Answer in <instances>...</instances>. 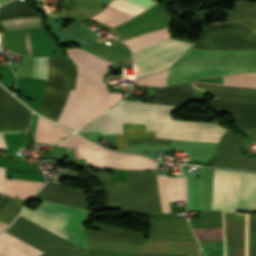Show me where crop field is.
<instances>
[{
  "label": "crop field",
  "mask_w": 256,
  "mask_h": 256,
  "mask_svg": "<svg viewBox=\"0 0 256 256\" xmlns=\"http://www.w3.org/2000/svg\"><path fill=\"white\" fill-rule=\"evenodd\" d=\"M198 241L223 240V227L193 229Z\"/></svg>",
  "instance_id": "crop-field-29"
},
{
  "label": "crop field",
  "mask_w": 256,
  "mask_h": 256,
  "mask_svg": "<svg viewBox=\"0 0 256 256\" xmlns=\"http://www.w3.org/2000/svg\"><path fill=\"white\" fill-rule=\"evenodd\" d=\"M194 83L256 88V73L225 76L223 84L201 83V82H194ZM193 85H195L199 89L209 91L210 93L214 94L216 97L256 102V89L197 85V84H193Z\"/></svg>",
  "instance_id": "crop-field-12"
},
{
  "label": "crop field",
  "mask_w": 256,
  "mask_h": 256,
  "mask_svg": "<svg viewBox=\"0 0 256 256\" xmlns=\"http://www.w3.org/2000/svg\"><path fill=\"white\" fill-rule=\"evenodd\" d=\"M240 129L245 131L249 136L256 138V130L255 129H244V128H240Z\"/></svg>",
  "instance_id": "crop-field-37"
},
{
  "label": "crop field",
  "mask_w": 256,
  "mask_h": 256,
  "mask_svg": "<svg viewBox=\"0 0 256 256\" xmlns=\"http://www.w3.org/2000/svg\"><path fill=\"white\" fill-rule=\"evenodd\" d=\"M46 253L56 256H83L60 248H50Z\"/></svg>",
  "instance_id": "crop-field-34"
},
{
  "label": "crop field",
  "mask_w": 256,
  "mask_h": 256,
  "mask_svg": "<svg viewBox=\"0 0 256 256\" xmlns=\"http://www.w3.org/2000/svg\"><path fill=\"white\" fill-rule=\"evenodd\" d=\"M173 106L122 101L117 107L91 119L79 132L123 134L122 122L146 124V131L157 130V138L218 142L226 131L214 123L172 121Z\"/></svg>",
  "instance_id": "crop-field-1"
},
{
  "label": "crop field",
  "mask_w": 256,
  "mask_h": 256,
  "mask_svg": "<svg viewBox=\"0 0 256 256\" xmlns=\"http://www.w3.org/2000/svg\"><path fill=\"white\" fill-rule=\"evenodd\" d=\"M152 236L194 237L188 224L177 218L151 219Z\"/></svg>",
  "instance_id": "crop-field-19"
},
{
  "label": "crop field",
  "mask_w": 256,
  "mask_h": 256,
  "mask_svg": "<svg viewBox=\"0 0 256 256\" xmlns=\"http://www.w3.org/2000/svg\"><path fill=\"white\" fill-rule=\"evenodd\" d=\"M128 2L140 5L142 7L148 8L154 4L155 2L151 0H126ZM135 14L129 13L127 11L115 8L113 6L108 5V7L100 12L95 17L91 18L96 21L102 22L104 24L110 25L112 27L128 20L129 18L133 17Z\"/></svg>",
  "instance_id": "crop-field-20"
},
{
  "label": "crop field",
  "mask_w": 256,
  "mask_h": 256,
  "mask_svg": "<svg viewBox=\"0 0 256 256\" xmlns=\"http://www.w3.org/2000/svg\"><path fill=\"white\" fill-rule=\"evenodd\" d=\"M0 23L6 30L28 28V27H42L39 17L22 18L15 20H2Z\"/></svg>",
  "instance_id": "crop-field-27"
},
{
  "label": "crop field",
  "mask_w": 256,
  "mask_h": 256,
  "mask_svg": "<svg viewBox=\"0 0 256 256\" xmlns=\"http://www.w3.org/2000/svg\"><path fill=\"white\" fill-rule=\"evenodd\" d=\"M85 159L90 166L103 169L104 166L123 169H145L155 168L156 162L131 154L114 152L104 149L84 138Z\"/></svg>",
  "instance_id": "crop-field-10"
},
{
  "label": "crop field",
  "mask_w": 256,
  "mask_h": 256,
  "mask_svg": "<svg viewBox=\"0 0 256 256\" xmlns=\"http://www.w3.org/2000/svg\"><path fill=\"white\" fill-rule=\"evenodd\" d=\"M256 71V51H198L191 49L168 71L166 86L204 77Z\"/></svg>",
  "instance_id": "crop-field-4"
},
{
  "label": "crop field",
  "mask_w": 256,
  "mask_h": 256,
  "mask_svg": "<svg viewBox=\"0 0 256 256\" xmlns=\"http://www.w3.org/2000/svg\"><path fill=\"white\" fill-rule=\"evenodd\" d=\"M90 240L143 246L144 240L103 230L85 229Z\"/></svg>",
  "instance_id": "crop-field-23"
},
{
  "label": "crop field",
  "mask_w": 256,
  "mask_h": 256,
  "mask_svg": "<svg viewBox=\"0 0 256 256\" xmlns=\"http://www.w3.org/2000/svg\"><path fill=\"white\" fill-rule=\"evenodd\" d=\"M0 149H7L4 142H3V139H2V135L0 134Z\"/></svg>",
  "instance_id": "crop-field-38"
},
{
  "label": "crop field",
  "mask_w": 256,
  "mask_h": 256,
  "mask_svg": "<svg viewBox=\"0 0 256 256\" xmlns=\"http://www.w3.org/2000/svg\"><path fill=\"white\" fill-rule=\"evenodd\" d=\"M168 38V29H162L158 31H154L151 33H146L141 36H137L131 39L124 40L123 42L126 43L132 50V52L159 42Z\"/></svg>",
  "instance_id": "crop-field-25"
},
{
  "label": "crop field",
  "mask_w": 256,
  "mask_h": 256,
  "mask_svg": "<svg viewBox=\"0 0 256 256\" xmlns=\"http://www.w3.org/2000/svg\"><path fill=\"white\" fill-rule=\"evenodd\" d=\"M33 197L85 210L90 206V204L84 203L85 189L63 187L51 183H47L46 186Z\"/></svg>",
  "instance_id": "crop-field-15"
},
{
  "label": "crop field",
  "mask_w": 256,
  "mask_h": 256,
  "mask_svg": "<svg viewBox=\"0 0 256 256\" xmlns=\"http://www.w3.org/2000/svg\"><path fill=\"white\" fill-rule=\"evenodd\" d=\"M0 192L5 194V168L0 167Z\"/></svg>",
  "instance_id": "crop-field-35"
},
{
  "label": "crop field",
  "mask_w": 256,
  "mask_h": 256,
  "mask_svg": "<svg viewBox=\"0 0 256 256\" xmlns=\"http://www.w3.org/2000/svg\"><path fill=\"white\" fill-rule=\"evenodd\" d=\"M31 110L0 87V131L28 130Z\"/></svg>",
  "instance_id": "crop-field-14"
},
{
  "label": "crop field",
  "mask_w": 256,
  "mask_h": 256,
  "mask_svg": "<svg viewBox=\"0 0 256 256\" xmlns=\"http://www.w3.org/2000/svg\"><path fill=\"white\" fill-rule=\"evenodd\" d=\"M23 33H24V39H25V46H26L27 55L28 56H32L27 29L23 30Z\"/></svg>",
  "instance_id": "crop-field-36"
},
{
  "label": "crop field",
  "mask_w": 256,
  "mask_h": 256,
  "mask_svg": "<svg viewBox=\"0 0 256 256\" xmlns=\"http://www.w3.org/2000/svg\"><path fill=\"white\" fill-rule=\"evenodd\" d=\"M124 135H117V148L126 149L127 139L154 137L156 131L145 132V125L123 123Z\"/></svg>",
  "instance_id": "crop-field-26"
},
{
  "label": "crop field",
  "mask_w": 256,
  "mask_h": 256,
  "mask_svg": "<svg viewBox=\"0 0 256 256\" xmlns=\"http://www.w3.org/2000/svg\"><path fill=\"white\" fill-rule=\"evenodd\" d=\"M22 203V200L11 197L4 208L0 211V220L10 224L14 220Z\"/></svg>",
  "instance_id": "crop-field-28"
},
{
  "label": "crop field",
  "mask_w": 256,
  "mask_h": 256,
  "mask_svg": "<svg viewBox=\"0 0 256 256\" xmlns=\"http://www.w3.org/2000/svg\"><path fill=\"white\" fill-rule=\"evenodd\" d=\"M69 133L70 132L38 117L35 132L37 143H55L68 136Z\"/></svg>",
  "instance_id": "crop-field-22"
},
{
  "label": "crop field",
  "mask_w": 256,
  "mask_h": 256,
  "mask_svg": "<svg viewBox=\"0 0 256 256\" xmlns=\"http://www.w3.org/2000/svg\"><path fill=\"white\" fill-rule=\"evenodd\" d=\"M59 146H67V147H75V153L78 158H84L83 154V146L81 137L78 135H73L69 137L67 140L58 143Z\"/></svg>",
  "instance_id": "crop-field-32"
},
{
  "label": "crop field",
  "mask_w": 256,
  "mask_h": 256,
  "mask_svg": "<svg viewBox=\"0 0 256 256\" xmlns=\"http://www.w3.org/2000/svg\"><path fill=\"white\" fill-rule=\"evenodd\" d=\"M86 212L85 210L42 200L41 204L34 211L24 207L20 215L86 248V241L82 230V222ZM20 215L6 232L43 252L49 247L59 246L85 253L86 249Z\"/></svg>",
  "instance_id": "crop-field-2"
},
{
  "label": "crop field",
  "mask_w": 256,
  "mask_h": 256,
  "mask_svg": "<svg viewBox=\"0 0 256 256\" xmlns=\"http://www.w3.org/2000/svg\"><path fill=\"white\" fill-rule=\"evenodd\" d=\"M236 172L214 169L211 210H233ZM234 210L256 211V175L237 172Z\"/></svg>",
  "instance_id": "crop-field-6"
},
{
  "label": "crop field",
  "mask_w": 256,
  "mask_h": 256,
  "mask_svg": "<svg viewBox=\"0 0 256 256\" xmlns=\"http://www.w3.org/2000/svg\"><path fill=\"white\" fill-rule=\"evenodd\" d=\"M42 184L43 182L37 181L6 179V194L27 199L35 193Z\"/></svg>",
  "instance_id": "crop-field-24"
},
{
  "label": "crop field",
  "mask_w": 256,
  "mask_h": 256,
  "mask_svg": "<svg viewBox=\"0 0 256 256\" xmlns=\"http://www.w3.org/2000/svg\"><path fill=\"white\" fill-rule=\"evenodd\" d=\"M163 213L171 212L168 201L185 200L186 185L184 178L157 176Z\"/></svg>",
  "instance_id": "crop-field-18"
},
{
  "label": "crop field",
  "mask_w": 256,
  "mask_h": 256,
  "mask_svg": "<svg viewBox=\"0 0 256 256\" xmlns=\"http://www.w3.org/2000/svg\"><path fill=\"white\" fill-rule=\"evenodd\" d=\"M192 100L203 102L190 84L176 85L168 88L158 87L153 102L156 104L180 106Z\"/></svg>",
  "instance_id": "crop-field-17"
},
{
  "label": "crop field",
  "mask_w": 256,
  "mask_h": 256,
  "mask_svg": "<svg viewBox=\"0 0 256 256\" xmlns=\"http://www.w3.org/2000/svg\"><path fill=\"white\" fill-rule=\"evenodd\" d=\"M236 19L256 30V15H236Z\"/></svg>",
  "instance_id": "crop-field-33"
},
{
  "label": "crop field",
  "mask_w": 256,
  "mask_h": 256,
  "mask_svg": "<svg viewBox=\"0 0 256 256\" xmlns=\"http://www.w3.org/2000/svg\"><path fill=\"white\" fill-rule=\"evenodd\" d=\"M189 44L191 43L166 39L150 47L134 52V63L135 65L139 64L141 62L147 61L149 59L155 58L157 56L163 55L165 53L187 46ZM190 46L191 45L136 65L135 69L137 77L159 72L165 68H168Z\"/></svg>",
  "instance_id": "crop-field-9"
},
{
  "label": "crop field",
  "mask_w": 256,
  "mask_h": 256,
  "mask_svg": "<svg viewBox=\"0 0 256 256\" xmlns=\"http://www.w3.org/2000/svg\"><path fill=\"white\" fill-rule=\"evenodd\" d=\"M247 141L226 132L218 146L216 167L256 171V157L246 158L239 155L240 149Z\"/></svg>",
  "instance_id": "crop-field-13"
},
{
  "label": "crop field",
  "mask_w": 256,
  "mask_h": 256,
  "mask_svg": "<svg viewBox=\"0 0 256 256\" xmlns=\"http://www.w3.org/2000/svg\"><path fill=\"white\" fill-rule=\"evenodd\" d=\"M48 57L34 58L33 77L47 80Z\"/></svg>",
  "instance_id": "crop-field-31"
},
{
  "label": "crop field",
  "mask_w": 256,
  "mask_h": 256,
  "mask_svg": "<svg viewBox=\"0 0 256 256\" xmlns=\"http://www.w3.org/2000/svg\"><path fill=\"white\" fill-rule=\"evenodd\" d=\"M75 79L76 66L67 55L49 57L48 85L36 112L56 122L70 89H75Z\"/></svg>",
  "instance_id": "crop-field-7"
},
{
  "label": "crop field",
  "mask_w": 256,
  "mask_h": 256,
  "mask_svg": "<svg viewBox=\"0 0 256 256\" xmlns=\"http://www.w3.org/2000/svg\"><path fill=\"white\" fill-rule=\"evenodd\" d=\"M41 253L5 232L0 235V256H38Z\"/></svg>",
  "instance_id": "crop-field-21"
},
{
  "label": "crop field",
  "mask_w": 256,
  "mask_h": 256,
  "mask_svg": "<svg viewBox=\"0 0 256 256\" xmlns=\"http://www.w3.org/2000/svg\"><path fill=\"white\" fill-rule=\"evenodd\" d=\"M167 70L137 79V85L165 86Z\"/></svg>",
  "instance_id": "crop-field-30"
},
{
  "label": "crop field",
  "mask_w": 256,
  "mask_h": 256,
  "mask_svg": "<svg viewBox=\"0 0 256 256\" xmlns=\"http://www.w3.org/2000/svg\"><path fill=\"white\" fill-rule=\"evenodd\" d=\"M41 256H52V255H49V254L44 253V254H42Z\"/></svg>",
  "instance_id": "crop-field-39"
},
{
  "label": "crop field",
  "mask_w": 256,
  "mask_h": 256,
  "mask_svg": "<svg viewBox=\"0 0 256 256\" xmlns=\"http://www.w3.org/2000/svg\"><path fill=\"white\" fill-rule=\"evenodd\" d=\"M67 53L79 69L76 90H71L57 123L76 130L118 103L122 93H107L102 83V76L112 64L82 49H71Z\"/></svg>",
  "instance_id": "crop-field-3"
},
{
  "label": "crop field",
  "mask_w": 256,
  "mask_h": 256,
  "mask_svg": "<svg viewBox=\"0 0 256 256\" xmlns=\"http://www.w3.org/2000/svg\"><path fill=\"white\" fill-rule=\"evenodd\" d=\"M224 256H248V213L224 211Z\"/></svg>",
  "instance_id": "crop-field-11"
},
{
  "label": "crop field",
  "mask_w": 256,
  "mask_h": 256,
  "mask_svg": "<svg viewBox=\"0 0 256 256\" xmlns=\"http://www.w3.org/2000/svg\"><path fill=\"white\" fill-rule=\"evenodd\" d=\"M213 108L216 111L236 115L235 127L256 128V103L217 99Z\"/></svg>",
  "instance_id": "crop-field-16"
},
{
  "label": "crop field",
  "mask_w": 256,
  "mask_h": 256,
  "mask_svg": "<svg viewBox=\"0 0 256 256\" xmlns=\"http://www.w3.org/2000/svg\"><path fill=\"white\" fill-rule=\"evenodd\" d=\"M239 23L208 27L203 31L199 43L192 48L205 50L256 49V34Z\"/></svg>",
  "instance_id": "crop-field-8"
},
{
  "label": "crop field",
  "mask_w": 256,
  "mask_h": 256,
  "mask_svg": "<svg viewBox=\"0 0 256 256\" xmlns=\"http://www.w3.org/2000/svg\"><path fill=\"white\" fill-rule=\"evenodd\" d=\"M129 181H102L107 206L148 214L162 213L155 170H128Z\"/></svg>",
  "instance_id": "crop-field-5"
}]
</instances>
